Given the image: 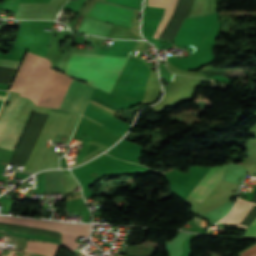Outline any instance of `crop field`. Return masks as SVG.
I'll use <instances>...</instances> for the list:
<instances>
[{"mask_svg": "<svg viewBox=\"0 0 256 256\" xmlns=\"http://www.w3.org/2000/svg\"><path fill=\"white\" fill-rule=\"evenodd\" d=\"M82 18H83V16H82V15H79V17H78V19H77V21H76V23H75V27H74V28L77 29V27H78L79 23L81 22Z\"/></svg>", "mask_w": 256, "mask_h": 256, "instance_id": "obj_16", "label": "crop field"}, {"mask_svg": "<svg viewBox=\"0 0 256 256\" xmlns=\"http://www.w3.org/2000/svg\"><path fill=\"white\" fill-rule=\"evenodd\" d=\"M27 99L13 96L0 116V147L14 149L25 123L15 120ZM15 150V149H14Z\"/></svg>", "mask_w": 256, "mask_h": 256, "instance_id": "obj_5", "label": "crop field"}, {"mask_svg": "<svg viewBox=\"0 0 256 256\" xmlns=\"http://www.w3.org/2000/svg\"><path fill=\"white\" fill-rule=\"evenodd\" d=\"M4 97H5V96H1V95H0V100H3V99H4Z\"/></svg>", "mask_w": 256, "mask_h": 256, "instance_id": "obj_17", "label": "crop field"}, {"mask_svg": "<svg viewBox=\"0 0 256 256\" xmlns=\"http://www.w3.org/2000/svg\"><path fill=\"white\" fill-rule=\"evenodd\" d=\"M0 223L61 232L62 245L71 251L79 245V243L74 242L76 236H87L90 228V225L66 224L45 220L21 219L5 216H0Z\"/></svg>", "mask_w": 256, "mask_h": 256, "instance_id": "obj_4", "label": "crop field"}, {"mask_svg": "<svg viewBox=\"0 0 256 256\" xmlns=\"http://www.w3.org/2000/svg\"><path fill=\"white\" fill-rule=\"evenodd\" d=\"M88 16L128 27L132 11L96 1Z\"/></svg>", "mask_w": 256, "mask_h": 256, "instance_id": "obj_6", "label": "crop field"}, {"mask_svg": "<svg viewBox=\"0 0 256 256\" xmlns=\"http://www.w3.org/2000/svg\"><path fill=\"white\" fill-rule=\"evenodd\" d=\"M19 64L17 61L0 60V67L17 69Z\"/></svg>", "mask_w": 256, "mask_h": 256, "instance_id": "obj_13", "label": "crop field"}, {"mask_svg": "<svg viewBox=\"0 0 256 256\" xmlns=\"http://www.w3.org/2000/svg\"><path fill=\"white\" fill-rule=\"evenodd\" d=\"M61 246L56 244H49L43 242L36 241H28L27 249L31 252H35L38 254L46 255V256H56Z\"/></svg>", "mask_w": 256, "mask_h": 256, "instance_id": "obj_10", "label": "crop field"}, {"mask_svg": "<svg viewBox=\"0 0 256 256\" xmlns=\"http://www.w3.org/2000/svg\"><path fill=\"white\" fill-rule=\"evenodd\" d=\"M72 80L53 71L37 105L59 108ZM93 89L91 86L73 80L60 107L82 113Z\"/></svg>", "mask_w": 256, "mask_h": 256, "instance_id": "obj_2", "label": "crop field"}, {"mask_svg": "<svg viewBox=\"0 0 256 256\" xmlns=\"http://www.w3.org/2000/svg\"><path fill=\"white\" fill-rule=\"evenodd\" d=\"M52 70L49 60L27 51L9 90L37 104Z\"/></svg>", "mask_w": 256, "mask_h": 256, "instance_id": "obj_3", "label": "crop field"}, {"mask_svg": "<svg viewBox=\"0 0 256 256\" xmlns=\"http://www.w3.org/2000/svg\"><path fill=\"white\" fill-rule=\"evenodd\" d=\"M19 252L22 256H30L26 251H19ZM2 256H4V255H2ZM5 256H17V254L15 253V251L7 250Z\"/></svg>", "mask_w": 256, "mask_h": 256, "instance_id": "obj_14", "label": "crop field"}, {"mask_svg": "<svg viewBox=\"0 0 256 256\" xmlns=\"http://www.w3.org/2000/svg\"><path fill=\"white\" fill-rule=\"evenodd\" d=\"M125 60V57L117 56L71 54L68 66L120 72ZM71 67H67L66 70L114 76H118L119 74L115 72L97 71ZM70 71H65L64 73L79 81L88 83L108 93L110 92L113 84L117 79V77L114 76L96 75Z\"/></svg>", "mask_w": 256, "mask_h": 256, "instance_id": "obj_1", "label": "crop field"}, {"mask_svg": "<svg viewBox=\"0 0 256 256\" xmlns=\"http://www.w3.org/2000/svg\"><path fill=\"white\" fill-rule=\"evenodd\" d=\"M44 193H63V170L45 171Z\"/></svg>", "mask_w": 256, "mask_h": 256, "instance_id": "obj_9", "label": "crop field"}, {"mask_svg": "<svg viewBox=\"0 0 256 256\" xmlns=\"http://www.w3.org/2000/svg\"><path fill=\"white\" fill-rule=\"evenodd\" d=\"M172 2H173V0H148V6L165 8L164 16H163L159 26L157 27V29H156V31L153 35L154 38L157 37Z\"/></svg>", "mask_w": 256, "mask_h": 256, "instance_id": "obj_11", "label": "crop field"}, {"mask_svg": "<svg viewBox=\"0 0 256 256\" xmlns=\"http://www.w3.org/2000/svg\"><path fill=\"white\" fill-rule=\"evenodd\" d=\"M227 165L211 167L189 196L201 203L206 195L221 180Z\"/></svg>", "mask_w": 256, "mask_h": 256, "instance_id": "obj_7", "label": "crop field"}, {"mask_svg": "<svg viewBox=\"0 0 256 256\" xmlns=\"http://www.w3.org/2000/svg\"><path fill=\"white\" fill-rule=\"evenodd\" d=\"M176 2H177V0H174L173 4H172V6H171V9H170V11H169V13H168V15H167V17H166V20H165V22H164V24H163V26H162V29H163L165 23L167 22L169 16L171 15V13H172V11H173L175 5H176ZM162 29H161V30H162ZM160 32H161V31H160ZM159 34H160V33H159ZM158 36H159V35H158Z\"/></svg>", "mask_w": 256, "mask_h": 256, "instance_id": "obj_15", "label": "crop field"}, {"mask_svg": "<svg viewBox=\"0 0 256 256\" xmlns=\"http://www.w3.org/2000/svg\"><path fill=\"white\" fill-rule=\"evenodd\" d=\"M242 238H256V218L248 227Z\"/></svg>", "mask_w": 256, "mask_h": 256, "instance_id": "obj_12", "label": "crop field"}, {"mask_svg": "<svg viewBox=\"0 0 256 256\" xmlns=\"http://www.w3.org/2000/svg\"><path fill=\"white\" fill-rule=\"evenodd\" d=\"M83 116L101 124L102 126L108 128L120 135L129 126V125L95 109L94 107H92L90 105H87Z\"/></svg>", "mask_w": 256, "mask_h": 256, "instance_id": "obj_8", "label": "crop field"}]
</instances>
